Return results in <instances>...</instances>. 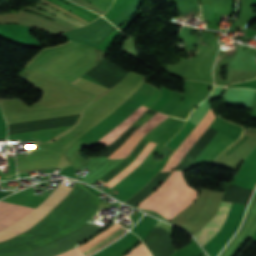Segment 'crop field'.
<instances>
[{"label":"crop field","mask_w":256,"mask_h":256,"mask_svg":"<svg viewBox=\"0 0 256 256\" xmlns=\"http://www.w3.org/2000/svg\"><path fill=\"white\" fill-rule=\"evenodd\" d=\"M156 144L157 142L150 139L149 142L146 144V146L142 149V151L138 154V156L135 158V160L131 164H129L127 167H125L123 170H121L119 173H117L115 176H113L104 184L108 185L109 187H112L114 184H116L120 179H122L137 165H139L143 161V159L148 155V153L154 148Z\"/></svg>","instance_id":"e52e79f7"},{"label":"crop field","mask_w":256,"mask_h":256,"mask_svg":"<svg viewBox=\"0 0 256 256\" xmlns=\"http://www.w3.org/2000/svg\"><path fill=\"white\" fill-rule=\"evenodd\" d=\"M85 107L86 106L64 109V110H57V111L8 116L5 118H6L7 124L11 125V124L48 120V119H55V118H62V117H70V116L80 115L82 111L85 109Z\"/></svg>","instance_id":"f4fd0767"},{"label":"crop field","mask_w":256,"mask_h":256,"mask_svg":"<svg viewBox=\"0 0 256 256\" xmlns=\"http://www.w3.org/2000/svg\"><path fill=\"white\" fill-rule=\"evenodd\" d=\"M140 1H132L129 6L113 21L117 27H120L125 21H127L132 13L138 9Z\"/></svg>","instance_id":"5a996713"},{"label":"crop field","mask_w":256,"mask_h":256,"mask_svg":"<svg viewBox=\"0 0 256 256\" xmlns=\"http://www.w3.org/2000/svg\"><path fill=\"white\" fill-rule=\"evenodd\" d=\"M118 225H113L112 227H110L109 229H107L105 232H103L102 234H100L99 236L95 237L94 239H92L91 241H89L86 245L78 248L80 251L83 250L84 248H86L87 246H89L90 244H92L93 242H95L96 240H98L99 238H101L102 236H104L105 234H107L108 232H110L111 230H113L114 228H116Z\"/></svg>","instance_id":"d1516ede"},{"label":"crop field","mask_w":256,"mask_h":256,"mask_svg":"<svg viewBox=\"0 0 256 256\" xmlns=\"http://www.w3.org/2000/svg\"><path fill=\"white\" fill-rule=\"evenodd\" d=\"M151 88L153 87L146 83H143L135 93H133L123 104H121L117 109H115L111 114H109L101 122H104L106 124L111 122L114 118H116L120 113H122L125 109H127L130 105H132L135 101H137L140 97H142Z\"/></svg>","instance_id":"d8731c3e"},{"label":"crop field","mask_w":256,"mask_h":256,"mask_svg":"<svg viewBox=\"0 0 256 256\" xmlns=\"http://www.w3.org/2000/svg\"><path fill=\"white\" fill-rule=\"evenodd\" d=\"M37 6L43 8V9H45V10H47V11L53 13V14H55L57 17L65 20V21H67V22H69V23H71V24H73V25H75L77 27H80V26L84 25V24H82V23H80V22H78L76 20H73V19H71V18H69V17H67V16H65V15H63V14H61V13H59V12L49 8V7H47V6H45V5H42V4L38 3V2H37Z\"/></svg>","instance_id":"3316defc"},{"label":"crop field","mask_w":256,"mask_h":256,"mask_svg":"<svg viewBox=\"0 0 256 256\" xmlns=\"http://www.w3.org/2000/svg\"><path fill=\"white\" fill-rule=\"evenodd\" d=\"M57 256H84L80 252H78L75 248L68 250L66 252H63Z\"/></svg>","instance_id":"22f410ed"},{"label":"crop field","mask_w":256,"mask_h":256,"mask_svg":"<svg viewBox=\"0 0 256 256\" xmlns=\"http://www.w3.org/2000/svg\"><path fill=\"white\" fill-rule=\"evenodd\" d=\"M126 256H150V253L147 251V249L144 247V245L141 242Z\"/></svg>","instance_id":"28ad6ade"},{"label":"crop field","mask_w":256,"mask_h":256,"mask_svg":"<svg viewBox=\"0 0 256 256\" xmlns=\"http://www.w3.org/2000/svg\"><path fill=\"white\" fill-rule=\"evenodd\" d=\"M202 18L208 19V13H202Z\"/></svg>","instance_id":"cbeb9de0"},{"label":"crop field","mask_w":256,"mask_h":256,"mask_svg":"<svg viewBox=\"0 0 256 256\" xmlns=\"http://www.w3.org/2000/svg\"><path fill=\"white\" fill-rule=\"evenodd\" d=\"M70 190V187L59 184L51 195L31 213L12 226L0 231V241L8 240L35 225L49 211H51L68 194Z\"/></svg>","instance_id":"8a807250"},{"label":"crop field","mask_w":256,"mask_h":256,"mask_svg":"<svg viewBox=\"0 0 256 256\" xmlns=\"http://www.w3.org/2000/svg\"><path fill=\"white\" fill-rule=\"evenodd\" d=\"M232 203L221 202L217 215L199 232L194 234L205 248L225 223Z\"/></svg>","instance_id":"dd49c442"},{"label":"crop field","mask_w":256,"mask_h":256,"mask_svg":"<svg viewBox=\"0 0 256 256\" xmlns=\"http://www.w3.org/2000/svg\"><path fill=\"white\" fill-rule=\"evenodd\" d=\"M198 192L191 189L187 184L170 198L157 212L171 220L178 212L188 207L196 198Z\"/></svg>","instance_id":"412701ff"},{"label":"crop field","mask_w":256,"mask_h":256,"mask_svg":"<svg viewBox=\"0 0 256 256\" xmlns=\"http://www.w3.org/2000/svg\"><path fill=\"white\" fill-rule=\"evenodd\" d=\"M114 29L116 28L112 24L103 17H99L87 26L64 32L61 35L70 40L95 48L97 43L104 39L106 35Z\"/></svg>","instance_id":"ac0d7876"},{"label":"crop field","mask_w":256,"mask_h":256,"mask_svg":"<svg viewBox=\"0 0 256 256\" xmlns=\"http://www.w3.org/2000/svg\"><path fill=\"white\" fill-rule=\"evenodd\" d=\"M169 116L157 113L152 118H150L147 122H145L141 127L135 130L129 139L112 155H110L107 159H120L127 158L128 155L132 152V150L137 146V144L141 141V139L148 134L151 130H153L157 125H159L164 119Z\"/></svg>","instance_id":"34b2d1b8"}]
</instances>
